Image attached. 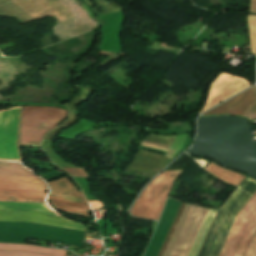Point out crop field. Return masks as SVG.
I'll list each match as a JSON object with an SVG mask.
<instances>
[{"label": "crop field", "mask_w": 256, "mask_h": 256, "mask_svg": "<svg viewBox=\"0 0 256 256\" xmlns=\"http://www.w3.org/2000/svg\"><path fill=\"white\" fill-rule=\"evenodd\" d=\"M67 112L55 107L23 106L20 145L39 146L45 132L53 129Z\"/></svg>", "instance_id": "crop-field-1"}, {"label": "crop field", "mask_w": 256, "mask_h": 256, "mask_svg": "<svg viewBox=\"0 0 256 256\" xmlns=\"http://www.w3.org/2000/svg\"><path fill=\"white\" fill-rule=\"evenodd\" d=\"M256 229V192L237 214L219 256H244Z\"/></svg>", "instance_id": "crop-field-2"}, {"label": "crop field", "mask_w": 256, "mask_h": 256, "mask_svg": "<svg viewBox=\"0 0 256 256\" xmlns=\"http://www.w3.org/2000/svg\"><path fill=\"white\" fill-rule=\"evenodd\" d=\"M182 170L162 172L144 190L131 209L132 216L158 220L168 192Z\"/></svg>", "instance_id": "crop-field-3"}, {"label": "crop field", "mask_w": 256, "mask_h": 256, "mask_svg": "<svg viewBox=\"0 0 256 256\" xmlns=\"http://www.w3.org/2000/svg\"><path fill=\"white\" fill-rule=\"evenodd\" d=\"M46 190L39 178L0 177V201L45 203Z\"/></svg>", "instance_id": "crop-field-4"}, {"label": "crop field", "mask_w": 256, "mask_h": 256, "mask_svg": "<svg viewBox=\"0 0 256 256\" xmlns=\"http://www.w3.org/2000/svg\"><path fill=\"white\" fill-rule=\"evenodd\" d=\"M18 107L9 108L3 111L14 109ZM21 112V107H20ZM19 108L7 112L0 113V158L19 159L16 149V135H17V124H18ZM20 120V114H19ZM19 128V125H18ZM18 136V135H17ZM0 159V160H10ZM10 161H21L10 160Z\"/></svg>", "instance_id": "crop-field-5"}, {"label": "crop field", "mask_w": 256, "mask_h": 256, "mask_svg": "<svg viewBox=\"0 0 256 256\" xmlns=\"http://www.w3.org/2000/svg\"><path fill=\"white\" fill-rule=\"evenodd\" d=\"M208 209L192 206L170 256H187Z\"/></svg>", "instance_id": "crop-field-6"}, {"label": "crop field", "mask_w": 256, "mask_h": 256, "mask_svg": "<svg viewBox=\"0 0 256 256\" xmlns=\"http://www.w3.org/2000/svg\"><path fill=\"white\" fill-rule=\"evenodd\" d=\"M215 81V80H214ZM212 85V84H211ZM251 84L241 77L228 73H221L211 86L207 100L202 107L201 112L232 96L238 91L250 86Z\"/></svg>", "instance_id": "crop-field-7"}, {"label": "crop field", "mask_w": 256, "mask_h": 256, "mask_svg": "<svg viewBox=\"0 0 256 256\" xmlns=\"http://www.w3.org/2000/svg\"><path fill=\"white\" fill-rule=\"evenodd\" d=\"M0 221L33 222L84 231L82 225L71 220L56 217L53 213L0 210Z\"/></svg>", "instance_id": "crop-field-8"}, {"label": "crop field", "mask_w": 256, "mask_h": 256, "mask_svg": "<svg viewBox=\"0 0 256 256\" xmlns=\"http://www.w3.org/2000/svg\"><path fill=\"white\" fill-rule=\"evenodd\" d=\"M232 99V98H231ZM256 102V88L255 86L249 90L243 92L232 100L202 114H220L229 113L242 115L247 109H249Z\"/></svg>", "instance_id": "crop-field-9"}, {"label": "crop field", "mask_w": 256, "mask_h": 256, "mask_svg": "<svg viewBox=\"0 0 256 256\" xmlns=\"http://www.w3.org/2000/svg\"><path fill=\"white\" fill-rule=\"evenodd\" d=\"M0 249L36 251V252H42V253L58 255V256H65V252H66L63 250H57V249H52V248L20 245V244H10V243H0ZM0 256H48V255H43V254H38V253H30V252L0 251Z\"/></svg>", "instance_id": "crop-field-10"}, {"label": "crop field", "mask_w": 256, "mask_h": 256, "mask_svg": "<svg viewBox=\"0 0 256 256\" xmlns=\"http://www.w3.org/2000/svg\"><path fill=\"white\" fill-rule=\"evenodd\" d=\"M68 181L62 177L56 181L47 182L48 186L50 187L49 195L87 204L82 192L78 193L75 187Z\"/></svg>", "instance_id": "crop-field-11"}, {"label": "crop field", "mask_w": 256, "mask_h": 256, "mask_svg": "<svg viewBox=\"0 0 256 256\" xmlns=\"http://www.w3.org/2000/svg\"><path fill=\"white\" fill-rule=\"evenodd\" d=\"M50 198H51L53 205L57 209L68 212V213H72V214L90 218V216L86 212L87 209H90L89 205L77 203V202H73V201H69V200H64V199H60V198H55V197H51V196H50Z\"/></svg>", "instance_id": "crop-field-12"}, {"label": "crop field", "mask_w": 256, "mask_h": 256, "mask_svg": "<svg viewBox=\"0 0 256 256\" xmlns=\"http://www.w3.org/2000/svg\"><path fill=\"white\" fill-rule=\"evenodd\" d=\"M217 211L209 209L188 256H197Z\"/></svg>", "instance_id": "crop-field-13"}, {"label": "crop field", "mask_w": 256, "mask_h": 256, "mask_svg": "<svg viewBox=\"0 0 256 256\" xmlns=\"http://www.w3.org/2000/svg\"><path fill=\"white\" fill-rule=\"evenodd\" d=\"M209 171L210 173L214 174L218 178L234 185H239V183L243 180L244 176H241L239 174L233 173L231 171L225 170L223 168H220L213 163L210 162V164L205 169Z\"/></svg>", "instance_id": "crop-field-14"}, {"label": "crop field", "mask_w": 256, "mask_h": 256, "mask_svg": "<svg viewBox=\"0 0 256 256\" xmlns=\"http://www.w3.org/2000/svg\"><path fill=\"white\" fill-rule=\"evenodd\" d=\"M0 176L36 177L32 173L24 169L19 163L6 162H0Z\"/></svg>", "instance_id": "crop-field-15"}, {"label": "crop field", "mask_w": 256, "mask_h": 256, "mask_svg": "<svg viewBox=\"0 0 256 256\" xmlns=\"http://www.w3.org/2000/svg\"><path fill=\"white\" fill-rule=\"evenodd\" d=\"M46 208V204H44ZM43 204H31V203H7L0 202V209L5 210H35V211H52L51 209L47 210Z\"/></svg>", "instance_id": "crop-field-16"}, {"label": "crop field", "mask_w": 256, "mask_h": 256, "mask_svg": "<svg viewBox=\"0 0 256 256\" xmlns=\"http://www.w3.org/2000/svg\"><path fill=\"white\" fill-rule=\"evenodd\" d=\"M190 207H191L190 205H187V204L185 205V207H184V209L182 211V214H181V216L179 218V221H178V223H177V225L175 227V230H174V232H173V234L171 236V239H170V241L168 243V246H167L163 256H169L170 251H171V249H172V247L174 245V242H175V240H176V238L178 236V233H179V231H180V229L182 227V224H183V222H184V220H185V218L187 216V213H188Z\"/></svg>", "instance_id": "crop-field-17"}, {"label": "crop field", "mask_w": 256, "mask_h": 256, "mask_svg": "<svg viewBox=\"0 0 256 256\" xmlns=\"http://www.w3.org/2000/svg\"><path fill=\"white\" fill-rule=\"evenodd\" d=\"M186 135H187V134L177 136V138H176V140H175V142H174V144H173V146H172L171 148H170L169 146L159 145V144L150 143V142H145V141H142V143L169 150V151L166 153V155H165L167 158H168V157L170 156V154L174 151V152L171 154V156L169 157V159H170L173 155H175V154L179 151V149H180V147H181V145H182V143H183V141H184ZM142 143H141V144H142ZM169 148L172 149L173 151H171Z\"/></svg>", "instance_id": "crop-field-18"}, {"label": "crop field", "mask_w": 256, "mask_h": 256, "mask_svg": "<svg viewBox=\"0 0 256 256\" xmlns=\"http://www.w3.org/2000/svg\"><path fill=\"white\" fill-rule=\"evenodd\" d=\"M251 49L256 54V15H248Z\"/></svg>", "instance_id": "crop-field-19"}, {"label": "crop field", "mask_w": 256, "mask_h": 256, "mask_svg": "<svg viewBox=\"0 0 256 256\" xmlns=\"http://www.w3.org/2000/svg\"><path fill=\"white\" fill-rule=\"evenodd\" d=\"M60 169L71 177H88L84 169H70V168H60Z\"/></svg>", "instance_id": "crop-field-20"}, {"label": "crop field", "mask_w": 256, "mask_h": 256, "mask_svg": "<svg viewBox=\"0 0 256 256\" xmlns=\"http://www.w3.org/2000/svg\"><path fill=\"white\" fill-rule=\"evenodd\" d=\"M245 256H256V232L253 236V239L250 243V246H249Z\"/></svg>", "instance_id": "crop-field-21"}, {"label": "crop field", "mask_w": 256, "mask_h": 256, "mask_svg": "<svg viewBox=\"0 0 256 256\" xmlns=\"http://www.w3.org/2000/svg\"><path fill=\"white\" fill-rule=\"evenodd\" d=\"M88 202L93 210L100 209L103 207L102 203L99 201H88Z\"/></svg>", "instance_id": "crop-field-22"}, {"label": "crop field", "mask_w": 256, "mask_h": 256, "mask_svg": "<svg viewBox=\"0 0 256 256\" xmlns=\"http://www.w3.org/2000/svg\"><path fill=\"white\" fill-rule=\"evenodd\" d=\"M249 11L256 12V0H251V8Z\"/></svg>", "instance_id": "crop-field-23"}]
</instances>
